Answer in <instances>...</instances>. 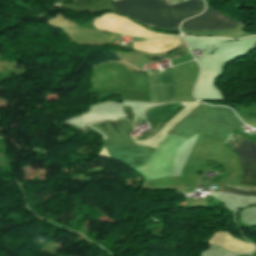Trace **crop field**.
Returning <instances> with one entry per match:
<instances>
[{
    "instance_id": "1",
    "label": "crop field",
    "mask_w": 256,
    "mask_h": 256,
    "mask_svg": "<svg viewBox=\"0 0 256 256\" xmlns=\"http://www.w3.org/2000/svg\"><path fill=\"white\" fill-rule=\"evenodd\" d=\"M200 2H202V0H190L176 6H171L167 0H117L113 2L116 9L112 11L118 12L138 8L159 11H177ZM203 8L204 3H201L177 12H157L139 9L119 12V14L151 27L178 30L177 25L181 23L182 20L200 13Z\"/></svg>"
},
{
    "instance_id": "2",
    "label": "crop field",
    "mask_w": 256,
    "mask_h": 256,
    "mask_svg": "<svg viewBox=\"0 0 256 256\" xmlns=\"http://www.w3.org/2000/svg\"><path fill=\"white\" fill-rule=\"evenodd\" d=\"M171 71H147V102H173Z\"/></svg>"
},
{
    "instance_id": "3",
    "label": "crop field",
    "mask_w": 256,
    "mask_h": 256,
    "mask_svg": "<svg viewBox=\"0 0 256 256\" xmlns=\"http://www.w3.org/2000/svg\"><path fill=\"white\" fill-rule=\"evenodd\" d=\"M181 27L190 31L219 30L235 28L237 23L209 7L205 13L185 21Z\"/></svg>"
},
{
    "instance_id": "4",
    "label": "crop field",
    "mask_w": 256,
    "mask_h": 256,
    "mask_svg": "<svg viewBox=\"0 0 256 256\" xmlns=\"http://www.w3.org/2000/svg\"><path fill=\"white\" fill-rule=\"evenodd\" d=\"M237 156L244 169L239 183L256 186V143L248 140Z\"/></svg>"
},
{
    "instance_id": "5",
    "label": "crop field",
    "mask_w": 256,
    "mask_h": 256,
    "mask_svg": "<svg viewBox=\"0 0 256 256\" xmlns=\"http://www.w3.org/2000/svg\"><path fill=\"white\" fill-rule=\"evenodd\" d=\"M220 191L244 196H256V191H244L237 188L219 186Z\"/></svg>"
}]
</instances>
